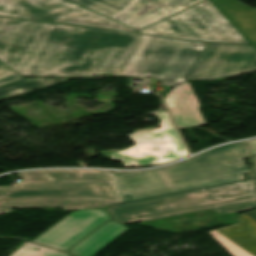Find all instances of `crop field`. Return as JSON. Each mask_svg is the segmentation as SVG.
I'll list each match as a JSON object with an SVG mask.
<instances>
[{
    "mask_svg": "<svg viewBox=\"0 0 256 256\" xmlns=\"http://www.w3.org/2000/svg\"><path fill=\"white\" fill-rule=\"evenodd\" d=\"M139 35L0 17V62L20 76L118 74Z\"/></svg>",
    "mask_w": 256,
    "mask_h": 256,
    "instance_id": "1",
    "label": "crop field"
},
{
    "mask_svg": "<svg viewBox=\"0 0 256 256\" xmlns=\"http://www.w3.org/2000/svg\"><path fill=\"white\" fill-rule=\"evenodd\" d=\"M247 143H235L204 152L166 168L144 172L109 171L121 195L133 200L243 180L249 173L243 159Z\"/></svg>",
    "mask_w": 256,
    "mask_h": 256,
    "instance_id": "2",
    "label": "crop field"
},
{
    "mask_svg": "<svg viewBox=\"0 0 256 256\" xmlns=\"http://www.w3.org/2000/svg\"><path fill=\"white\" fill-rule=\"evenodd\" d=\"M209 208L220 214L256 208L254 179L137 200L106 210L125 225Z\"/></svg>",
    "mask_w": 256,
    "mask_h": 256,
    "instance_id": "3",
    "label": "crop field"
},
{
    "mask_svg": "<svg viewBox=\"0 0 256 256\" xmlns=\"http://www.w3.org/2000/svg\"><path fill=\"white\" fill-rule=\"evenodd\" d=\"M131 199L114 183H11L0 186V214L11 207H102Z\"/></svg>",
    "mask_w": 256,
    "mask_h": 256,
    "instance_id": "4",
    "label": "crop field"
},
{
    "mask_svg": "<svg viewBox=\"0 0 256 256\" xmlns=\"http://www.w3.org/2000/svg\"><path fill=\"white\" fill-rule=\"evenodd\" d=\"M206 43L142 35L121 75L152 77L161 85L185 81Z\"/></svg>",
    "mask_w": 256,
    "mask_h": 256,
    "instance_id": "5",
    "label": "crop field"
},
{
    "mask_svg": "<svg viewBox=\"0 0 256 256\" xmlns=\"http://www.w3.org/2000/svg\"><path fill=\"white\" fill-rule=\"evenodd\" d=\"M159 36L206 42L248 44L209 0L142 30Z\"/></svg>",
    "mask_w": 256,
    "mask_h": 256,
    "instance_id": "6",
    "label": "crop field"
},
{
    "mask_svg": "<svg viewBox=\"0 0 256 256\" xmlns=\"http://www.w3.org/2000/svg\"><path fill=\"white\" fill-rule=\"evenodd\" d=\"M155 114L162 120L159 125L129 135L136 144L134 147L105 153L106 156L114 161H123L125 167H144L166 164L189 155L167 112L162 110Z\"/></svg>",
    "mask_w": 256,
    "mask_h": 256,
    "instance_id": "7",
    "label": "crop field"
},
{
    "mask_svg": "<svg viewBox=\"0 0 256 256\" xmlns=\"http://www.w3.org/2000/svg\"><path fill=\"white\" fill-rule=\"evenodd\" d=\"M0 15L137 33L68 0H0Z\"/></svg>",
    "mask_w": 256,
    "mask_h": 256,
    "instance_id": "8",
    "label": "crop field"
},
{
    "mask_svg": "<svg viewBox=\"0 0 256 256\" xmlns=\"http://www.w3.org/2000/svg\"><path fill=\"white\" fill-rule=\"evenodd\" d=\"M256 71L251 46L209 43L189 80H215Z\"/></svg>",
    "mask_w": 256,
    "mask_h": 256,
    "instance_id": "9",
    "label": "crop field"
},
{
    "mask_svg": "<svg viewBox=\"0 0 256 256\" xmlns=\"http://www.w3.org/2000/svg\"><path fill=\"white\" fill-rule=\"evenodd\" d=\"M135 30L177 12L147 0H71Z\"/></svg>",
    "mask_w": 256,
    "mask_h": 256,
    "instance_id": "10",
    "label": "crop field"
},
{
    "mask_svg": "<svg viewBox=\"0 0 256 256\" xmlns=\"http://www.w3.org/2000/svg\"><path fill=\"white\" fill-rule=\"evenodd\" d=\"M108 218L110 216L103 209L77 210L32 242L65 251Z\"/></svg>",
    "mask_w": 256,
    "mask_h": 256,
    "instance_id": "11",
    "label": "crop field"
},
{
    "mask_svg": "<svg viewBox=\"0 0 256 256\" xmlns=\"http://www.w3.org/2000/svg\"><path fill=\"white\" fill-rule=\"evenodd\" d=\"M237 217L240 223L209 233L233 256H256V211Z\"/></svg>",
    "mask_w": 256,
    "mask_h": 256,
    "instance_id": "12",
    "label": "crop field"
},
{
    "mask_svg": "<svg viewBox=\"0 0 256 256\" xmlns=\"http://www.w3.org/2000/svg\"><path fill=\"white\" fill-rule=\"evenodd\" d=\"M165 101L179 128L206 124L199 111L201 106L188 82L173 88Z\"/></svg>",
    "mask_w": 256,
    "mask_h": 256,
    "instance_id": "13",
    "label": "crop field"
},
{
    "mask_svg": "<svg viewBox=\"0 0 256 256\" xmlns=\"http://www.w3.org/2000/svg\"><path fill=\"white\" fill-rule=\"evenodd\" d=\"M249 44L256 45V9L237 0H210Z\"/></svg>",
    "mask_w": 256,
    "mask_h": 256,
    "instance_id": "14",
    "label": "crop field"
},
{
    "mask_svg": "<svg viewBox=\"0 0 256 256\" xmlns=\"http://www.w3.org/2000/svg\"><path fill=\"white\" fill-rule=\"evenodd\" d=\"M21 182H111L103 170H48L18 173Z\"/></svg>",
    "mask_w": 256,
    "mask_h": 256,
    "instance_id": "15",
    "label": "crop field"
},
{
    "mask_svg": "<svg viewBox=\"0 0 256 256\" xmlns=\"http://www.w3.org/2000/svg\"><path fill=\"white\" fill-rule=\"evenodd\" d=\"M127 229L111 219L68 252L77 256H93Z\"/></svg>",
    "mask_w": 256,
    "mask_h": 256,
    "instance_id": "16",
    "label": "crop field"
},
{
    "mask_svg": "<svg viewBox=\"0 0 256 256\" xmlns=\"http://www.w3.org/2000/svg\"><path fill=\"white\" fill-rule=\"evenodd\" d=\"M65 80L67 79H22L0 86V100Z\"/></svg>",
    "mask_w": 256,
    "mask_h": 256,
    "instance_id": "17",
    "label": "crop field"
},
{
    "mask_svg": "<svg viewBox=\"0 0 256 256\" xmlns=\"http://www.w3.org/2000/svg\"><path fill=\"white\" fill-rule=\"evenodd\" d=\"M11 256H69L68 254L26 242Z\"/></svg>",
    "mask_w": 256,
    "mask_h": 256,
    "instance_id": "18",
    "label": "crop field"
},
{
    "mask_svg": "<svg viewBox=\"0 0 256 256\" xmlns=\"http://www.w3.org/2000/svg\"><path fill=\"white\" fill-rule=\"evenodd\" d=\"M19 79H22V77L18 76L5 65L0 63V85L7 84Z\"/></svg>",
    "mask_w": 256,
    "mask_h": 256,
    "instance_id": "19",
    "label": "crop field"
},
{
    "mask_svg": "<svg viewBox=\"0 0 256 256\" xmlns=\"http://www.w3.org/2000/svg\"><path fill=\"white\" fill-rule=\"evenodd\" d=\"M149 1H152V2L160 4V5H164V6L170 7L173 10H175L176 7L180 3H182L184 0H149Z\"/></svg>",
    "mask_w": 256,
    "mask_h": 256,
    "instance_id": "20",
    "label": "crop field"
},
{
    "mask_svg": "<svg viewBox=\"0 0 256 256\" xmlns=\"http://www.w3.org/2000/svg\"><path fill=\"white\" fill-rule=\"evenodd\" d=\"M200 1H202V0H186L177 7L176 11L180 12V11H182Z\"/></svg>",
    "mask_w": 256,
    "mask_h": 256,
    "instance_id": "21",
    "label": "crop field"
},
{
    "mask_svg": "<svg viewBox=\"0 0 256 256\" xmlns=\"http://www.w3.org/2000/svg\"><path fill=\"white\" fill-rule=\"evenodd\" d=\"M249 149L251 155L256 154V140L249 141Z\"/></svg>",
    "mask_w": 256,
    "mask_h": 256,
    "instance_id": "22",
    "label": "crop field"
},
{
    "mask_svg": "<svg viewBox=\"0 0 256 256\" xmlns=\"http://www.w3.org/2000/svg\"><path fill=\"white\" fill-rule=\"evenodd\" d=\"M253 162H254V170H255V176H256V156L253 157ZM255 182H256V178H255Z\"/></svg>",
    "mask_w": 256,
    "mask_h": 256,
    "instance_id": "23",
    "label": "crop field"
},
{
    "mask_svg": "<svg viewBox=\"0 0 256 256\" xmlns=\"http://www.w3.org/2000/svg\"><path fill=\"white\" fill-rule=\"evenodd\" d=\"M63 211H66V210H77V209H86V208H62Z\"/></svg>",
    "mask_w": 256,
    "mask_h": 256,
    "instance_id": "24",
    "label": "crop field"
},
{
    "mask_svg": "<svg viewBox=\"0 0 256 256\" xmlns=\"http://www.w3.org/2000/svg\"><path fill=\"white\" fill-rule=\"evenodd\" d=\"M254 48V50L256 51V46H252Z\"/></svg>",
    "mask_w": 256,
    "mask_h": 256,
    "instance_id": "25",
    "label": "crop field"
}]
</instances>
